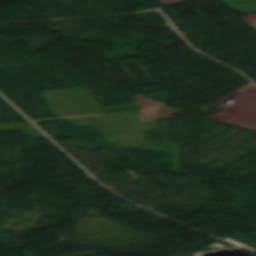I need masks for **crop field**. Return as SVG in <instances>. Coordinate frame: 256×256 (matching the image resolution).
Wrapping results in <instances>:
<instances>
[{
	"instance_id": "8a807250",
	"label": "crop field",
	"mask_w": 256,
	"mask_h": 256,
	"mask_svg": "<svg viewBox=\"0 0 256 256\" xmlns=\"http://www.w3.org/2000/svg\"><path fill=\"white\" fill-rule=\"evenodd\" d=\"M228 1H230L232 4L236 6H247V5L256 3V0H228Z\"/></svg>"
},
{
	"instance_id": "ac0d7876",
	"label": "crop field",
	"mask_w": 256,
	"mask_h": 256,
	"mask_svg": "<svg viewBox=\"0 0 256 256\" xmlns=\"http://www.w3.org/2000/svg\"><path fill=\"white\" fill-rule=\"evenodd\" d=\"M244 21L248 22L250 25H252L254 28H256V15L249 16Z\"/></svg>"
},
{
	"instance_id": "34b2d1b8",
	"label": "crop field",
	"mask_w": 256,
	"mask_h": 256,
	"mask_svg": "<svg viewBox=\"0 0 256 256\" xmlns=\"http://www.w3.org/2000/svg\"><path fill=\"white\" fill-rule=\"evenodd\" d=\"M238 8H240L242 11H245V12L256 11V5H252V6H248V7H238Z\"/></svg>"
},
{
	"instance_id": "412701ff",
	"label": "crop field",
	"mask_w": 256,
	"mask_h": 256,
	"mask_svg": "<svg viewBox=\"0 0 256 256\" xmlns=\"http://www.w3.org/2000/svg\"><path fill=\"white\" fill-rule=\"evenodd\" d=\"M221 2H223L227 7H229L230 9L233 10H239L237 7H235L234 5H232L230 2H228L227 0H220ZM241 11V10H239Z\"/></svg>"
}]
</instances>
